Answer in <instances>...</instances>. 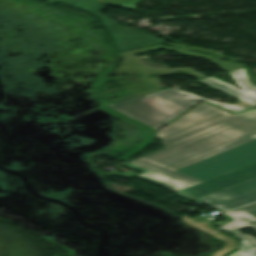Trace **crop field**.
Listing matches in <instances>:
<instances>
[{"label":"crop field","mask_w":256,"mask_h":256,"mask_svg":"<svg viewBox=\"0 0 256 256\" xmlns=\"http://www.w3.org/2000/svg\"><path fill=\"white\" fill-rule=\"evenodd\" d=\"M165 147L129 163L148 171L136 176L179 191L202 181L177 171L256 137V110L231 115L201 103L157 133Z\"/></svg>","instance_id":"1"},{"label":"crop field","mask_w":256,"mask_h":256,"mask_svg":"<svg viewBox=\"0 0 256 256\" xmlns=\"http://www.w3.org/2000/svg\"><path fill=\"white\" fill-rule=\"evenodd\" d=\"M230 74L243 90H238L234 86L212 77L200 80L256 107V86L247 79L244 69L230 71ZM202 99L219 105L233 113L246 110L238 106L210 101L191 92L173 88L120 100L106 106L156 130Z\"/></svg>","instance_id":"2"},{"label":"crop field","mask_w":256,"mask_h":256,"mask_svg":"<svg viewBox=\"0 0 256 256\" xmlns=\"http://www.w3.org/2000/svg\"><path fill=\"white\" fill-rule=\"evenodd\" d=\"M255 161L256 140H253L177 171L205 181Z\"/></svg>","instance_id":"3"},{"label":"crop field","mask_w":256,"mask_h":256,"mask_svg":"<svg viewBox=\"0 0 256 256\" xmlns=\"http://www.w3.org/2000/svg\"><path fill=\"white\" fill-rule=\"evenodd\" d=\"M81 1H86V0H60V2L67 3V4H72V3L81 2ZM47 2L50 4L56 5L58 1L47 0ZM97 4L99 3H97L96 1H91V2H85L80 4H74V6L83 8V7H88V6L97 5ZM105 8L106 7L101 5L98 7H93V8L84 9V10L96 15L105 27L117 25L115 22H113L112 20H110L109 18H107L106 16H104L99 12ZM107 29L113 35L115 39V44L117 45L120 51L165 42V40L163 39L147 35L139 30L129 28L126 26H113V27H108Z\"/></svg>","instance_id":"4"},{"label":"crop field","mask_w":256,"mask_h":256,"mask_svg":"<svg viewBox=\"0 0 256 256\" xmlns=\"http://www.w3.org/2000/svg\"><path fill=\"white\" fill-rule=\"evenodd\" d=\"M196 200L221 212L256 201V178Z\"/></svg>","instance_id":"5"},{"label":"crop field","mask_w":256,"mask_h":256,"mask_svg":"<svg viewBox=\"0 0 256 256\" xmlns=\"http://www.w3.org/2000/svg\"><path fill=\"white\" fill-rule=\"evenodd\" d=\"M254 177H256V162L177 193L190 199H196Z\"/></svg>","instance_id":"6"},{"label":"crop field","mask_w":256,"mask_h":256,"mask_svg":"<svg viewBox=\"0 0 256 256\" xmlns=\"http://www.w3.org/2000/svg\"><path fill=\"white\" fill-rule=\"evenodd\" d=\"M233 217L229 223L220 228L227 231H235L240 228L256 224V203L225 213Z\"/></svg>","instance_id":"7"},{"label":"crop field","mask_w":256,"mask_h":256,"mask_svg":"<svg viewBox=\"0 0 256 256\" xmlns=\"http://www.w3.org/2000/svg\"><path fill=\"white\" fill-rule=\"evenodd\" d=\"M256 231V225L252 226ZM237 238L241 239L239 250L230 253L228 256H256V238L243 234L239 231L232 232Z\"/></svg>","instance_id":"8"},{"label":"crop field","mask_w":256,"mask_h":256,"mask_svg":"<svg viewBox=\"0 0 256 256\" xmlns=\"http://www.w3.org/2000/svg\"><path fill=\"white\" fill-rule=\"evenodd\" d=\"M100 2L104 4H111L119 7H124L128 9L134 10L135 5L140 1V0H99Z\"/></svg>","instance_id":"9"},{"label":"crop field","mask_w":256,"mask_h":256,"mask_svg":"<svg viewBox=\"0 0 256 256\" xmlns=\"http://www.w3.org/2000/svg\"><path fill=\"white\" fill-rule=\"evenodd\" d=\"M234 105H238V106H241V107H244V108H247V107L253 106V105H251V104H249V103H246V102H244V101H242V100H240V102H239V103L234 104Z\"/></svg>","instance_id":"10"}]
</instances>
